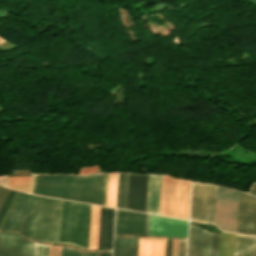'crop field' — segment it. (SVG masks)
Here are the masks:
<instances>
[{
  "mask_svg": "<svg viewBox=\"0 0 256 256\" xmlns=\"http://www.w3.org/2000/svg\"><path fill=\"white\" fill-rule=\"evenodd\" d=\"M108 175L33 174L32 193L106 206Z\"/></svg>",
  "mask_w": 256,
  "mask_h": 256,
  "instance_id": "8a807250",
  "label": "crop field"
},
{
  "mask_svg": "<svg viewBox=\"0 0 256 256\" xmlns=\"http://www.w3.org/2000/svg\"><path fill=\"white\" fill-rule=\"evenodd\" d=\"M91 205L63 200L58 243L88 249Z\"/></svg>",
  "mask_w": 256,
  "mask_h": 256,
  "instance_id": "ac0d7876",
  "label": "crop field"
},
{
  "mask_svg": "<svg viewBox=\"0 0 256 256\" xmlns=\"http://www.w3.org/2000/svg\"><path fill=\"white\" fill-rule=\"evenodd\" d=\"M62 200L36 196L26 237L57 243Z\"/></svg>",
  "mask_w": 256,
  "mask_h": 256,
  "instance_id": "34b2d1b8",
  "label": "crop field"
},
{
  "mask_svg": "<svg viewBox=\"0 0 256 256\" xmlns=\"http://www.w3.org/2000/svg\"><path fill=\"white\" fill-rule=\"evenodd\" d=\"M191 182L162 175L160 215L188 219Z\"/></svg>",
  "mask_w": 256,
  "mask_h": 256,
  "instance_id": "412701ff",
  "label": "crop field"
},
{
  "mask_svg": "<svg viewBox=\"0 0 256 256\" xmlns=\"http://www.w3.org/2000/svg\"><path fill=\"white\" fill-rule=\"evenodd\" d=\"M217 186L193 182L190 220L214 223Z\"/></svg>",
  "mask_w": 256,
  "mask_h": 256,
  "instance_id": "f4fd0767",
  "label": "crop field"
},
{
  "mask_svg": "<svg viewBox=\"0 0 256 256\" xmlns=\"http://www.w3.org/2000/svg\"><path fill=\"white\" fill-rule=\"evenodd\" d=\"M238 191L218 186L215 225L235 232Z\"/></svg>",
  "mask_w": 256,
  "mask_h": 256,
  "instance_id": "dd49c442",
  "label": "crop field"
},
{
  "mask_svg": "<svg viewBox=\"0 0 256 256\" xmlns=\"http://www.w3.org/2000/svg\"><path fill=\"white\" fill-rule=\"evenodd\" d=\"M34 198L33 195L17 191L13 212L8 214L4 229L26 232ZM8 213H11V211Z\"/></svg>",
  "mask_w": 256,
  "mask_h": 256,
  "instance_id": "e52e79f7",
  "label": "crop field"
},
{
  "mask_svg": "<svg viewBox=\"0 0 256 256\" xmlns=\"http://www.w3.org/2000/svg\"><path fill=\"white\" fill-rule=\"evenodd\" d=\"M149 215L116 209L114 235H148Z\"/></svg>",
  "mask_w": 256,
  "mask_h": 256,
  "instance_id": "d8731c3e",
  "label": "crop field"
},
{
  "mask_svg": "<svg viewBox=\"0 0 256 256\" xmlns=\"http://www.w3.org/2000/svg\"><path fill=\"white\" fill-rule=\"evenodd\" d=\"M148 175L129 174L126 209L145 212Z\"/></svg>",
  "mask_w": 256,
  "mask_h": 256,
  "instance_id": "5a996713",
  "label": "crop field"
},
{
  "mask_svg": "<svg viewBox=\"0 0 256 256\" xmlns=\"http://www.w3.org/2000/svg\"><path fill=\"white\" fill-rule=\"evenodd\" d=\"M188 221L150 215L149 235L187 238Z\"/></svg>",
  "mask_w": 256,
  "mask_h": 256,
  "instance_id": "3316defc",
  "label": "crop field"
},
{
  "mask_svg": "<svg viewBox=\"0 0 256 256\" xmlns=\"http://www.w3.org/2000/svg\"><path fill=\"white\" fill-rule=\"evenodd\" d=\"M33 243L21 235L0 231V256H32Z\"/></svg>",
  "mask_w": 256,
  "mask_h": 256,
  "instance_id": "28ad6ade",
  "label": "crop field"
},
{
  "mask_svg": "<svg viewBox=\"0 0 256 256\" xmlns=\"http://www.w3.org/2000/svg\"><path fill=\"white\" fill-rule=\"evenodd\" d=\"M211 233L190 225L188 256H209Z\"/></svg>",
  "mask_w": 256,
  "mask_h": 256,
  "instance_id": "d1516ede",
  "label": "crop field"
},
{
  "mask_svg": "<svg viewBox=\"0 0 256 256\" xmlns=\"http://www.w3.org/2000/svg\"><path fill=\"white\" fill-rule=\"evenodd\" d=\"M114 209L101 207L98 249L111 250Z\"/></svg>",
  "mask_w": 256,
  "mask_h": 256,
  "instance_id": "22f410ed",
  "label": "crop field"
},
{
  "mask_svg": "<svg viewBox=\"0 0 256 256\" xmlns=\"http://www.w3.org/2000/svg\"><path fill=\"white\" fill-rule=\"evenodd\" d=\"M161 175H149L146 212L159 215Z\"/></svg>",
  "mask_w": 256,
  "mask_h": 256,
  "instance_id": "cbeb9de0",
  "label": "crop field"
},
{
  "mask_svg": "<svg viewBox=\"0 0 256 256\" xmlns=\"http://www.w3.org/2000/svg\"><path fill=\"white\" fill-rule=\"evenodd\" d=\"M139 238H114L113 256H138Z\"/></svg>",
  "mask_w": 256,
  "mask_h": 256,
  "instance_id": "5142ce71",
  "label": "crop field"
},
{
  "mask_svg": "<svg viewBox=\"0 0 256 256\" xmlns=\"http://www.w3.org/2000/svg\"><path fill=\"white\" fill-rule=\"evenodd\" d=\"M256 237L248 235H235V250L233 256H255Z\"/></svg>",
  "mask_w": 256,
  "mask_h": 256,
  "instance_id": "d9b57169",
  "label": "crop field"
},
{
  "mask_svg": "<svg viewBox=\"0 0 256 256\" xmlns=\"http://www.w3.org/2000/svg\"><path fill=\"white\" fill-rule=\"evenodd\" d=\"M165 238H140L139 256H164Z\"/></svg>",
  "mask_w": 256,
  "mask_h": 256,
  "instance_id": "733c2abd",
  "label": "crop field"
},
{
  "mask_svg": "<svg viewBox=\"0 0 256 256\" xmlns=\"http://www.w3.org/2000/svg\"><path fill=\"white\" fill-rule=\"evenodd\" d=\"M100 207L92 205L89 249H97Z\"/></svg>",
  "mask_w": 256,
  "mask_h": 256,
  "instance_id": "4a817a6b",
  "label": "crop field"
},
{
  "mask_svg": "<svg viewBox=\"0 0 256 256\" xmlns=\"http://www.w3.org/2000/svg\"><path fill=\"white\" fill-rule=\"evenodd\" d=\"M128 174L119 173L116 208L125 209Z\"/></svg>",
  "mask_w": 256,
  "mask_h": 256,
  "instance_id": "bc2a9ffb",
  "label": "crop field"
},
{
  "mask_svg": "<svg viewBox=\"0 0 256 256\" xmlns=\"http://www.w3.org/2000/svg\"><path fill=\"white\" fill-rule=\"evenodd\" d=\"M31 177H7V186L30 193Z\"/></svg>",
  "mask_w": 256,
  "mask_h": 256,
  "instance_id": "214f88e0",
  "label": "crop field"
},
{
  "mask_svg": "<svg viewBox=\"0 0 256 256\" xmlns=\"http://www.w3.org/2000/svg\"><path fill=\"white\" fill-rule=\"evenodd\" d=\"M49 245L34 243L33 256H48Z\"/></svg>",
  "mask_w": 256,
  "mask_h": 256,
  "instance_id": "92a150f3",
  "label": "crop field"
},
{
  "mask_svg": "<svg viewBox=\"0 0 256 256\" xmlns=\"http://www.w3.org/2000/svg\"><path fill=\"white\" fill-rule=\"evenodd\" d=\"M14 193H15V190H11V189L9 190V192H8V194H7L5 200H4V202H3V204H2V206L0 208V221H1L5 211L7 209V207L9 205V203H10Z\"/></svg>",
  "mask_w": 256,
  "mask_h": 256,
  "instance_id": "dafd665d",
  "label": "crop field"
},
{
  "mask_svg": "<svg viewBox=\"0 0 256 256\" xmlns=\"http://www.w3.org/2000/svg\"><path fill=\"white\" fill-rule=\"evenodd\" d=\"M218 236L212 233L210 256H217Z\"/></svg>",
  "mask_w": 256,
  "mask_h": 256,
  "instance_id": "00972430",
  "label": "crop field"
},
{
  "mask_svg": "<svg viewBox=\"0 0 256 256\" xmlns=\"http://www.w3.org/2000/svg\"><path fill=\"white\" fill-rule=\"evenodd\" d=\"M100 171V169L97 166H92V167H84L79 169L78 174H89L92 172Z\"/></svg>",
  "mask_w": 256,
  "mask_h": 256,
  "instance_id": "a9b5d70f",
  "label": "crop field"
},
{
  "mask_svg": "<svg viewBox=\"0 0 256 256\" xmlns=\"http://www.w3.org/2000/svg\"><path fill=\"white\" fill-rule=\"evenodd\" d=\"M61 256H78V252L71 248L62 247Z\"/></svg>",
  "mask_w": 256,
  "mask_h": 256,
  "instance_id": "4177f3b9",
  "label": "crop field"
},
{
  "mask_svg": "<svg viewBox=\"0 0 256 256\" xmlns=\"http://www.w3.org/2000/svg\"><path fill=\"white\" fill-rule=\"evenodd\" d=\"M186 240L179 239L178 256H185Z\"/></svg>",
  "mask_w": 256,
  "mask_h": 256,
  "instance_id": "730fd06b",
  "label": "crop field"
},
{
  "mask_svg": "<svg viewBox=\"0 0 256 256\" xmlns=\"http://www.w3.org/2000/svg\"><path fill=\"white\" fill-rule=\"evenodd\" d=\"M61 247L51 246L49 250V256H60Z\"/></svg>",
  "mask_w": 256,
  "mask_h": 256,
  "instance_id": "eef30255",
  "label": "crop field"
},
{
  "mask_svg": "<svg viewBox=\"0 0 256 256\" xmlns=\"http://www.w3.org/2000/svg\"><path fill=\"white\" fill-rule=\"evenodd\" d=\"M178 239H173L172 256H177Z\"/></svg>",
  "mask_w": 256,
  "mask_h": 256,
  "instance_id": "ae1a2a85",
  "label": "crop field"
},
{
  "mask_svg": "<svg viewBox=\"0 0 256 256\" xmlns=\"http://www.w3.org/2000/svg\"><path fill=\"white\" fill-rule=\"evenodd\" d=\"M79 256H99V252H91V253H81V252H79Z\"/></svg>",
  "mask_w": 256,
  "mask_h": 256,
  "instance_id": "d3111659",
  "label": "crop field"
},
{
  "mask_svg": "<svg viewBox=\"0 0 256 256\" xmlns=\"http://www.w3.org/2000/svg\"><path fill=\"white\" fill-rule=\"evenodd\" d=\"M249 193L256 195V184L254 182L249 190Z\"/></svg>",
  "mask_w": 256,
  "mask_h": 256,
  "instance_id": "750c4746",
  "label": "crop field"
},
{
  "mask_svg": "<svg viewBox=\"0 0 256 256\" xmlns=\"http://www.w3.org/2000/svg\"><path fill=\"white\" fill-rule=\"evenodd\" d=\"M100 256H111V252H100Z\"/></svg>",
  "mask_w": 256,
  "mask_h": 256,
  "instance_id": "bd1437ed",
  "label": "crop field"
},
{
  "mask_svg": "<svg viewBox=\"0 0 256 256\" xmlns=\"http://www.w3.org/2000/svg\"><path fill=\"white\" fill-rule=\"evenodd\" d=\"M1 40H2V39H0V42H2Z\"/></svg>",
  "mask_w": 256,
  "mask_h": 256,
  "instance_id": "1d83c4d3",
  "label": "crop field"
}]
</instances>
